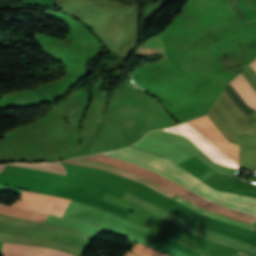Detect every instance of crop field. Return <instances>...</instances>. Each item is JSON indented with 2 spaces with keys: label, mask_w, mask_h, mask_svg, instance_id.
Instances as JSON below:
<instances>
[{
  "label": "crop field",
  "mask_w": 256,
  "mask_h": 256,
  "mask_svg": "<svg viewBox=\"0 0 256 256\" xmlns=\"http://www.w3.org/2000/svg\"><path fill=\"white\" fill-rule=\"evenodd\" d=\"M90 157L112 161L126 167L141 170L182 192L192 186L221 202L256 212V198L219 192L164 157L130 147ZM93 158L79 157L62 162L113 172L144 183L171 198L182 193L141 171ZM172 199L207 217L232 225L250 229L256 220V213L218 202L192 188Z\"/></svg>",
  "instance_id": "8a807250"
},
{
  "label": "crop field",
  "mask_w": 256,
  "mask_h": 256,
  "mask_svg": "<svg viewBox=\"0 0 256 256\" xmlns=\"http://www.w3.org/2000/svg\"><path fill=\"white\" fill-rule=\"evenodd\" d=\"M192 122L217 146L227 153L238 163V145L228 143L224 136L219 132L215 125L208 119L207 115L192 120ZM191 121L179 124L174 127H168L164 130L186 135L190 138L205 154L212 160L227 165L229 167L240 168L228 155L210 141Z\"/></svg>",
  "instance_id": "ac0d7876"
},
{
  "label": "crop field",
  "mask_w": 256,
  "mask_h": 256,
  "mask_svg": "<svg viewBox=\"0 0 256 256\" xmlns=\"http://www.w3.org/2000/svg\"><path fill=\"white\" fill-rule=\"evenodd\" d=\"M69 202V199L24 191L21 200L15 201L11 206L34 212L50 213L61 217Z\"/></svg>",
  "instance_id": "34b2d1b8"
},
{
  "label": "crop field",
  "mask_w": 256,
  "mask_h": 256,
  "mask_svg": "<svg viewBox=\"0 0 256 256\" xmlns=\"http://www.w3.org/2000/svg\"><path fill=\"white\" fill-rule=\"evenodd\" d=\"M230 84L245 103L256 110V92L251 88L244 76L239 74Z\"/></svg>",
  "instance_id": "412701ff"
},
{
  "label": "crop field",
  "mask_w": 256,
  "mask_h": 256,
  "mask_svg": "<svg viewBox=\"0 0 256 256\" xmlns=\"http://www.w3.org/2000/svg\"><path fill=\"white\" fill-rule=\"evenodd\" d=\"M42 247L3 243L2 253L7 256H38Z\"/></svg>",
  "instance_id": "f4fd0767"
},
{
  "label": "crop field",
  "mask_w": 256,
  "mask_h": 256,
  "mask_svg": "<svg viewBox=\"0 0 256 256\" xmlns=\"http://www.w3.org/2000/svg\"><path fill=\"white\" fill-rule=\"evenodd\" d=\"M147 237H149L155 241H158L160 243H163L165 245H168L170 247H173V248H175L187 255H190V256H207V255L197 252V251H195V250H193V249H191L173 239H170L158 232L152 231L150 234L147 235Z\"/></svg>",
  "instance_id": "dd49c442"
},
{
  "label": "crop field",
  "mask_w": 256,
  "mask_h": 256,
  "mask_svg": "<svg viewBox=\"0 0 256 256\" xmlns=\"http://www.w3.org/2000/svg\"><path fill=\"white\" fill-rule=\"evenodd\" d=\"M0 213L18 217V218L40 221V222H43L45 218L48 216L44 214H38V213H33L29 211L12 208V207L1 205V204H0Z\"/></svg>",
  "instance_id": "e52e79f7"
},
{
  "label": "crop field",
  "mask_w": 256,
  "mask_h": 256,
  "mask_svg": "<svg viewBox=\"0 0 256 256\" xmlns=\"http://www.w3.org/2000/svg\"><path fill=\"white\" fill-rule=\"evenodd\" d=\"M4 168L13 170V171H17V172H21V173H25V174H29V175H33V176H37V177H41V178H45V179L62 181V182H64L67 177V176H62V175H58V174H54V173H50V172H46V171L20 168V167L8 166V165H6Z\"/></svg>",
  "instance_id": "d8731c3e"
},
{
  "label": "crop field",
  "mask_w": 256,
  "mask_h": 256,
  "mask_svg": "<svg viewBox=\"0 0 256 256\" xmlns=\"http://www.w3.org/2000/svg\"><path fill=\"white\" fill-rule=\"evenodd\" d=\"M9 165L42 169V170H47V171H51V172H55V173H59V174L65 175V170H64L63 166L59 162H55V163H41V164L13 163V164H9Z\"/></svg>",
  "instance_id": "5a996713"
},
{
  "label": "crop field",
  "mask_w": 256,
  "mask_h": 256,
  "mask_svg": "<svg viewBox=\"0 0 256 256\" xmlns=\"http://www.w3.org/2000/svg\"><path fill=\"white\" fill-rule=\"evenodd\" d=\"M130 251L132 252H135L139 255H142V256H166L162 253H159V252H156V251H153L145 246H141V245H138L136 244L134 247H132L130 249Z\"/></svg>",
  "instance_id": "3316defc"
},
{
  "label": "crop field",
  "mask_w": 256,
  "mask_h": 256,
  "mask_svg": "<svg viewBox=\"0 0 256 256\" xmlns=\"http://www.w3.org/2000/svg\"><path fill=\"white\" fill-rule=\"evenodd\" d=\"M256 71V59L249 64Z\"/></svg>",
  "instance_id": "28ad6ade"
},
{
  "label": "crop field",
  "mask_w": 256,
  "mask_h": 256,
  "mask_svg": "<svg viewBox=\"0 0 256 256\" xmlns=\"http://www.w3.org/2000/svg\"><path fill=\"white\" fill-rule=\"evenodd\" d=\"M125 256H137V255H135V254H133V253L128 252V253H126V254H125Z\"/></svg>",
  "instance_id": "d1516ede"
},
{
  "label": "crop field",
  "mask_w": 256,
  "mask_h": 256,
  "mask_svg": "<svg viewBox=\"0 0 256 256\" xmlns=\"http://www.w3.org/2000/svg\"><path fill=\"white\" fill-rule=\"evenodd\" d=\"M5 165H0V170L4 167Z\"/></svg>",
  "instance_id": "22f410ed"
},
{
  "label": "crop field",
  "mask_w": 256,
  "mask_h": 256,
  "mask_svg": "<svg viewBox=\"0 0 256 256\" xmlns=\"http://www.w3.org/2000/svg\"><path fill=\"white\" fill-rule=\"evenodd\" d=\"M154 154V153H153ZM158 155V154H157Z\"/></svg>",
  "instance_id": "cbeb9de0"
}]
</instances>
